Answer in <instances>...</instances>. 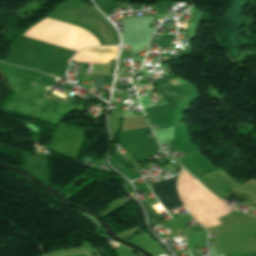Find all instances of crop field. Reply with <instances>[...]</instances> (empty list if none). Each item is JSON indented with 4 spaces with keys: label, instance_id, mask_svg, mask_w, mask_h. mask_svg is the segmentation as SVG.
<instances>
[{
    "label": "crop field",
    "instance_id": "3",
    "mask_svg": "<svg viewBox=\"0 0 256 256\" xmlns=\"http://www.w3.org/2000/svg\"><path fill=\"white\" fill-rule=\"evenodd\" d=\"M172 84H178V82L176 80L171 81Z\"/></svg>",
    "mask_w": 256,
    "mask_h": 256
},
{
    "label": "crop field",
    "instance_id": "2",
    "mask_svg": "<svg viewBox=\"0 0 256 256\" xmlns=\"http://www.w3.org/2000/svg\"><path fill=\"white\" fill-rule=\"evenodd\" d=\"M171 107L169 106V104L167 105H164V106H160V107H150V108H146L144 109L146 114L149 115V114H155V113H159V112H162L166 109H170Z\"/></svg>",
    "mask_w": 256,
    "mask_h": 256
},
{
    "label": "crop field",
    "instance_id": "1",
    "mask_svg": "<svg viewBox=\"0 0 256 256\" xmlns=\"http://www.w3.org/2000/svg\"><path fill=\"white\" fill-rule=\"evenodd\" d=\"M176 178L177 177L153 183L155 189H152V191L167 211L183 206L177 195L175 184Z\"/></svg>",
    "mask_w": 256,
    "mask_h": 256
}]
</instances>
